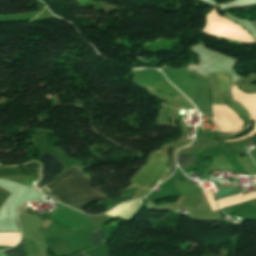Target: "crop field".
<instances>
[{"label":"crop field","mask_w":256,"mask_h":256,"mask_svg":"<svg viewBox=\"0 0 256 256\" xmlns=\"http://www.w3.org/2000/svg\"><path fill=\"white\" fill-rule=\"evenodd\" d=\"M250 139H251L252 143H253L254 145H256V135H254V136L251 137Z\"/></svg>","instance_id":"crop-field-11"},{"label":"crop field","mask_w":256,"mask_h":256,"mask_svg":"<svg viewBox=\"0 0 256 256\" xmlns=\"http://www.w3.org/2000/svg\"><path fill=\"white\" fill-rule=\"evenodd\" d=\"M168 165V157L156 151L148 155L146 165L143 166L131 179V186L154 188L164 176ZM129 188V187H128Z\"/></svg>","instance_id":"crop-field-2"},{"label":"crop field","mask_w":256,"mask_h":256,"mask_svg":"<svg viewBox=\"0 0 256 256\" xmlns=\"http://www.w3.org/2000/svg\"><path fill=\"white\" fill-rule=\"evenodd\" d=\"M89 234L91 236L93 246L104 241L103 232L101 228L93 230L89 232Z\"/></svg>","instance_id":"crop-field-7"},{"label":"crop field","mask_w":256,"mask_h":256,"mask_svg":"<svg viewBox=\"0 0 256 256\" xmlns=\"http://www.w3.org/2000/svg\"><path fill=\"white\" fill-rule=\"evenodd\" d=\"M224 102L227 106L234 109L243 118V120H245L247 122V125H249L250 118H249L246 110L240 104H238L230 99H224Z\"/></svg>","instance_id":"crop-field-5"},{"label":"crop field","mask_w":256,"mask_h":256,"mask_svg":"<svg viewBox=\"0 0 256 256\" xmlns=\"http://www.w3.org/2000/svg\"><path fill=\"white\" fill-rule=\"evenodd\" d=\"M11 193L7 192L6 190L0 188V206L3 202L8 198Z\"/></svg>","instance_id":"crop-field-10"},{"label":"crop field","mask_w":256,"mask_h":256,"mask_svg":"<svg viewBox=\"0 0 256 256\" xmlns=\"http://www.w3.org/2000/svg\"><path fill=\"white\" fill-rule=\"evenodd\" d=\"M177 160L181 169L190 165L194 160L193 155L177 153Z\"/></svg>","instance_id":"crop-field-6"},{"label":"crop field","mask_w":256,"mask_h":256,"mask_svg":"<svg viewBox=\"0 0 256 256\" xmlns=\"http://www.w3.org/2000/svg\"><path fill=\"white\" fill-rule=\"evenodd\" d=\"M213 76L219 82L221 90H225V89H229L230 88L228 78H227V76L225 74L214 73Z\"/></svg>","instance_id":"crop-field-8"},{"label":"crop field","mask_w":256,"mask_h":256,"mask_svg":"<svg viewBox=\"0 0 256 256\" xmlns=\"http://www.w3.org/2000/svg\"><path fill=\"white\" fill-rule=\"evenodd\" d=\"M1 175H26V176H38V169H2Z\"/></svg>","instance_id":"crop-field-4"},{"label":"crop field","mask_w":256,"mask_h":256,"mask_svg":"<svg viewBox=\"0 0 256 256\" xmlns=\"http://www.w3.org/2000/svg\"><path fill=\"white\" fill-rule=\"evenodd\" d=\"M39 161L42 164V185L50 183L65 169L58 158L47 153L42 154Z\"/></svg>","instance_id":"crop-field-3"},{"label":"crop field","mask_w":256,"mask_h":256,"mask_svg":"<svg viewBox=\"0 0 256 256\" xmlns=\"http://www.w3.org/2000/svg\"><path fill=\"white\" fill-rule=\"evenodd\" d=\"M6 256H25V252L22 246V243H20L18 246L4 251Z\"/></svg>","instance_id":"crop-field-9"},{"label":"crop field","mask_w":256,"mask_h":256,"mask_svg":"<svg viewBox=\"0 0 256 256\" xmlns=\"http://www.w3.org/2000/svg\"><path fill=\"white\" fill-rule=\"evenodd\" d=\"M66 172L93 201L108 199L102 193L92 189L85 175L78 166L72 167ZM66 172L45 187H47L49 191L57 197L59 201L82 211L85 206L93 203V201L68 176Z\"/></svg>","instance_id":"crop-field-1"},{"label":"crop field","mask_w":256,"mask_h":256,"mask_svg":"<svg viewBox=\"0 0 256 256\" xmlns=\"http://www.w3.org/2000/svg\"><path fill=\"white\" fill-rule=\"evenodd\" d=\"M73 256H85V255L82 254L81 252H79V253H77V254H75V255H73Z\"/></svg>","instance_id":"crop-field-12"}]
</instances>
